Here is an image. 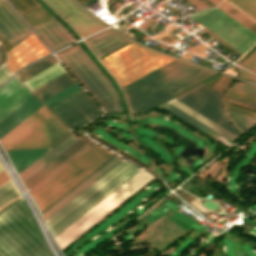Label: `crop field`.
<instances>
[{"label": "crop field", "instance_id": "obj_12", "mask_svg": "<svg viewBox=\"0 0 256 256\" xmlns=\"http://www.w3.org/2000/svg\"><path fill=\"white\" fill-rule=\"evenodd\" d=\"M84 38L102 28L98 22L80 10L71 0H44Z\"/></svg>", "mask_w": 256, "mask_h": 256}, {"label": "crop field", "instance_id": "obj_38", "mask_svg": "<svg viewBox=\"0 0 256 256\" xmlns=\"http://www.w3.org/2000/svg\"><path fill=\"white\" fill-rule=\"evenodd\" d=\"M232 88L256 95V86L245 83V82H235Z\"/></svg>", "mask_w": 256, "mask_h": 256}, {"label": "crop field", "instance_id": "obj_43", "mask_svg": "<svg viewBox=\"0 0 256 256\" xmlns=\"http://www.w3.org/2000/svg\"><path fill=\"white\" fill-rule=\"evenodd\" d=\"M239 71H240V77L241 78H244V79H248V80H252V81H255L256 82V76L238 68Z\"/></svg>", "mask_w": 256, "mask_h": 256}, {"label": "crop field", "instance_id": "obj_23", "mask_svg": "<svg viewBox=\"0 0 256 256\" xmlns=\"http://www.w3.org/2000/svg\"><path fill=\"white\" fill-rule=\"evenodd\" d=\"M73 83L75 82L66 72L32 92L42 101Z\"/></svg>", "mask_w": 256, "mask_h": 256}, {"label": "crop field", "instance_id": "obj_47", "mask_svg": "<svg viewBox=\"0 0 256 256\" xmlns=\"http://www.w3.org/2000/svg\"><path fill=\"white\" fill-rule=\"evenodd\" d=\"M225 97L229 98V99H232V100H235V101H238V102H241V103H244V104H248V105L256 107V104H253V103H249V102H246V101H243V100H240V99H237V98H233V97H230V96H227V95Z\"/></svg>", "mask_w": 256, "mask_h": 256}, {"label": "crop field", "instance_id": "obj_19", "mask_svg": "<svg viewBox=\"0 0 256 256\" xmlns=\"http://www.w3.org/2000/svg\"><path fill=\"white\" fill-rule=\"evenodd\" d=\"M43 104L33 95L0 121V138Z\"/></svg>", "mask_w": 256, "mask_h": 256}, {"label": "crop field", "instance_id": "obj_8", "mask_svg": "<svg viewBox=\"0 0 256 256\" xmlns=\"http://www.w3.org/2000/svg\"><path fill=\"white\" fill-rule=\"evenodd\" d=\"M153 177L154 176L141 170L118 189L112 192L109 196L99 202L96 206L90 209L87 213L77 219L74 223L68 226L65 230L55 236L54 238L60 249L93 225L96 221L102 218L105 214H107L110 210L116 207L119 203L125 200Z\"/></svg>", "mask_w": 256, "mask_h": 256}, {"label": "crop field", "instance_id": "obj_39", "mask_svg": "<svg viewBox=\"0 0 256 256\" xmlns=\"http://www.w3.org/2000/svg\"><path fill=\"white\" fill-rule=\"evenodd\" d=\"M225 105H226V109L228 111L235 112V113H238V114L245 115V116L256 119V113H254V112H251V111H248V110L236 107V106H232V105H229V104H226V103H225Z\"/></svg>", "mask_w": 256, "mask_h": 256}, {"label": "crop field", "instance_id": "obj_11", "mask_svg": "<svg viewBox=\"0 0 256 256\" xmlns=\"http://www.w3.org/2000/svg\"><path fill=\"white\" fill-rule=\"evenodd\" d=\"M49 109L67 128L99 110L82 89Z\"/></svg>", "mask_w": 256, "mask_h": 256}, {"label": "crop field", "instance_id": "obj_50", "mask_svg": "<svg viewBox=\"0 0 256 256\" xmlns=\"http://www.w3.org/2000/svg\"><path fill=\"white\" fill-rule=\"evenodd\" d=\"M3 170L2 166L0 165V171Z\"/></svg>", "mask_w": 256, "mask_h": 256}, {"label": "crop field", "instance_id": "obj_49", "mask_svg": "<svg viewBox=\"0 0 256 256\" xmlns=\"http://www.w3.org/2000/svg\"><path fill=\"white\" fill-rule=\"evenodd\" d=\"M79 1L81 2L82 0H79ZM83 1H85V2L87 3V2H89L90 0H83Z\"/></svg>", "mask_w": 256, "mask_h": 256}, {"label": "crop field", "instance_id": "obj_37", "mask_svg": "<svg viewBox=\"0 0 256 256\" xmlns=\"http://www.w3.org/2000/svg\"><path fill=\"white\" fill-rule=\"evenodd\" d=\"M238 65L255 73L256 72V51L250 57H248Z\"/></svg>", "mask_w": 256, "mask_h": 256}, {"label": "crop field", "instance_id": "obj_10", "mask_svg": "<svg viewBox=\"0 0 256 256\" xmlns=\"http://www.w3.org/2000/svg\"><path fill=\"white\" fill-rule=\"evenodd\" d=\"M175 99L238 136V130L225 117L221 95L200 84Z\"/></svg>", "mask_w": 256, "mask_h": 256}, {"label": "crop field", "instance_id": "obj_25", "mask_svg": "<svg viewBox=\"0 0 256 256\" xmlns=\"http://www.w3.org/2000/svg\"><path fill=\"white\" fill-rule=\"evenodd\" d=\"M173 106L177 107L178 109L182 110L183 112L187 113L188 115L192 116L193 118L197 119L198 121L202 122L203 124L207 125L208 127L212 128L213 130L217 131L218 133L222 134L223 136L227 137L230 140H235L237 137L233 134L229 133L225 129L221 128L220 126L216 125L215 123L211 122L210 120L206 119L202 115L198 114L197 112L193 111L192 109L188 108L184 104L180 103L177 100H172L168 102Z\"/></svg>", "mask_w": 256, "mask_h": 256}, {"label": "crop field", "instance_id": "obj_5", "mask_svg": "<svg viewBox=\"0 0 256 256\" xmlns=\"http://www.w3.org/2000/svg\"><path fill=\"white\" fill-rule=\"evenodd\" d=\"M70 132L43 105L2 139L5 150L52 147Z\"/></svg>", "mask_w": 256, "mask_h": 256}, {"label": "crop field", "instance_id": "obj_22", "mask_svg": "<svg viewBox=\"0 0 256 256\" xmlns=\"http://www.w3.org/2000/svg\"><path fill=\"white\" fill-rule=\"evenodd\" d=\"M48 149L50 148L14 150V151H9L7 153L18 174L24 168H26L29 164H31L34 160H36L43 153H45Z\"/></svg>", "mask_w": 256, "mask_h": 256}, {"label": "crop field", "instance_id": "obj_20", "mask_svg": "<svg viewBox=\"0 0 256 256\" xmlns=\"http://www.w3.org/2000/svg\"><path fill=\"white\" fill-rule=\"evenodd\" d=\"M84 41L97 58L129 42L109 31H102L85 39Z\"/></svg>", "mask_w": 256, "mask_h": 256}, {"label": "crop field", "instance_id": "obj_6", "mask_svg": "<svg viewBox=\"0 0 256 256\" xmlns=\"http://www.w3.org/2000/svg\"><path fill=\"white\" fill-rule=\"evenodd\" d=\"M107 112H121L111 83L78 44L56 54ZM94 98V99H95ZM102 107V108H103Z\"/></svg>", "mask_w": 256, "mask_h": 256}, {"label": "crop field", "instance_id": "obj_3", "mask_svg": "<svg viewBox=\"0 0 256 256\" xmlns=\"http://www.w3.org/2000/svg\"><path fill=\"white\" fill-rule=\"evenodd\" d=\"M139 170L141 169L124 160L96 183L94 182L95 184L80 193L81 195L73 201L71 200L72 202L66 204L67 206L52 215L53 217L48 218L46 223L53 237Z\"/></svg>", "mask_w": 256, "mask_h": 256}, {"label": "crop field", "instance_id": "obj_42", "mask_svg": "<svg viewBox=\"0 0 256 256\" xmlns=\"http://www.w3.org/2000/svg\"><path fill=\"white\" fill-rule=\"evenodd\" d=\"M11 76H12V74L6 69L4 64L1 65L0 66V84H2L4 81H6Z\"/></svg>", "mask_w": 256, "mask_h": 256}, {"label": "crop field", "instance_id": "obj_33", "mask_svg": "<svg viewBox=\"0 0 256 256\" xmlns=\"http://www.w3.org/2000/svg\"><path fill=\"white\" fill-rule=\"evenodd\" d=\"M79 89H81L80 86L75 83L67 87L66 89L60 91L59 93L51 96L50 98L44 100L43 103L49 108Z\"/></svg>", "mask_w": 256, "mask_h": 256}, {"label": "crop field", "instance_id": "obj_2", "mask_svg": "<svg viewBox=\"0 0 256 256\" xmlns=\"http://www.w3.org/2000/svg\"><path fill=\"white\" fill-rule=\"evenodd\" d=\"M0 256H52L22 197L0 210Z\"/></svg>", "mask_w": 256, "mask_h": 256}, {"label": "crop field", "instance_id": "obj_32", "mask_svg": "<svg viewBox=\"0 0 256 256\" xmlns=\"http://www.w3.org/2000/svg\"><path fill=\"white\" fill-rule=\"evenodd\" d=\"M22 17L26 20V22L32 26L40 21H43L49 17H51V15L42 7H38L24 15H22Z\"/></svg>", "mask_w": 256, "mask_h": 256}, {"label": "crop field", "instance_id": "obj_30", "mask_svg": "<svg viewBox=\"0 0 256 256\" xmlns=\"http://www.w3.org/2000/svg\"><path fill=\"white\" fill-rule=\"evenodd\" d=\"M95 143L90 142L85 147H83L80 151H78L75 155H73L71 158H69L66 162H64L62 165H60L57 169H55L52 173H50L48 176H46L43 180H41L38 184H36L34 187L30 189V194L34 192L36 189H38L41 185H43L45 182H47L49 179H51L54 175H56L58 172H60L63 168H65L67 165H69L71 162H73L76 158H78L80 155H82L85 151H87L89 148H91Z\"/></svg>", "mask_w": 256, "mask_h": 256}, {"label": "crop field", "instance_id": "obj_35", "mask_svg": "<svg viewBox=\"0 0 256 256\" xmlns=\"http://www.w3.org/2000/svg\"><path fill=\"white\" fill-rule=\"evenodd\" d=\"M20 15L40 6L35 0H8Z\"/></svg>", "mask_w": 256, "mask_h": 256}, {"label": "crop field", "instance_id": "obj_27", "mask_svg": "<svg viewBox=\"0 0 256 256\" xmlns=\"http://www.w3.org/2000/svg\"><path fill=\"white\" fill-rule=\"evenodd\" d=\"M218 8L223 10L225 13L233 17L235 20H237L256 34V23L247 16H245L243 13L238 11L236 8L228 4L226 1L223 0Z\"/></svg>", "mask_w": 256, "mask_h": 256}, {"label": "crop field", "instance_id": "obj_36", "mask_svg": "<svg viewBox=\"0 0 256 256\" xmlns=\"http://www.w3.org/2000/svg\"><path fill=\"white\" fill-rule=\"evenodd\" d=\"M226 94L230 95V96H234V97L240 98V99H243V100H246V101H250V102L256 103V96L248 94V93H245V92H242V91H238V90L230 88L226 92Z\"/></svg>", "mask_w": 256, "mask_h": 256}, {"label": "crop field", "instance_id": "obj_41", "mask_svg": "<svg viewBox=\"0 0 256 256\" xmlns=\"http://www.w3.org/2000/svg\"><path fill=\"white\" fill-rule=\"evenodd\" d=\"M203 30L205 33H207L208 35H210L212 38H214L216 41H218L219 43H221L223 46H225L226 48H228L230 51H232L233 53H235L237 56H241L242 54H240L238 51H236L235 49H233L231 46H229L228 44H226L225 42H223L221 39H219L218 37H216L214 34H212L211 32H209L207 29L203 28L201 29Z\"/></svg>", "mask_w": 256, "mask_h": 256}, {"label": "crop field", "instance_id": "obj_28", "mask_svg": "<svg viewBox=\"0 0 256 256\" xmlns=\"http://www.w3.org/2000/svg\"><path fill=\"white\" fill-rule=\"evenodd\" d=\"M56 62H58V61L53 56H51L45 60H42V61L28 67L23 73H21L17 76L23 82Z\"/></svg>", "mask_w": 256, "mask_h": 256}, {"label": "crop field", "instance_id": "obj_24", "mask_svg": "<svg viewBox=\"0 0 256 256\" xmlns=\"http://www.w3.org/2000/svg\"><path fill=\"white\" fill-rule=\"evenodd\" d=\"M64 72L60 64L56 63L23 83L32 91Z\"/></svg>", "mask_w": 256, "mask_h": 256}, {"label": "crop field", "instance_id": "obj_46", "mask_svg": "<svg viewBox=\"0 0 256 256\" xmlns=\"http://www.w3.org/2000/svg\"><path fill=\"white\" fill-rule=\"evenodd\" d=\"M3 62H5V52L2 44L0 43V64H2Z\"/></svg>", "mask_w": 256, "mask_h": 256}, {"label": "crop field", "instance_id": "obj_44", "mask_svg": "<svg viewBox=\"0 0 256 256\" xmlns=\"http://www.w3.org/2000/svg\"><path fill=\"white\" fill-rule=\"evenodd\" d=\"M188 2H190L191 4H193L195 7H197L200 10L209 8L206 4H204L202 1L200 0H187Z\"/></svg>", "mask_w": 256, "mask_h": 256}, {"label": "crop field", "instance_id": "obj_26", "mask_svg": "<svg viewBox=\"0 0 256 256\" xmlns=\"http://www.w3.org/2000/svg\"><path fill=\"white\" fill-rule=\"evenodd\" d=\"M159 107L170 112L171 114L175 115L176 117L180 118L181 120L185 121L186 123L190 124L191 126L195 127L196 129L200 130L201 132L212 138L220 135L168 103H165Z\"/></svg>", "mask_w": 256, "mask_h": 256}, {"label": "crop field", "instance_id": "obj_21", "mask_svg": "<svg viewBox=\"0 0 256 256\" xmlns=\"http://www.w3.org/2000/svg\"><path fill=\"white\" fill-rule=\"evenodd\" d=\"M87 138L83 137L74 145H72L69 149H67L64 153L58 156L55 160H53L50 164L44 167L41 171H39L36 175L30 178L27 182L24 183L26 189L31 188L38 181L44 178L47 174H49L52 170H54L57 166H59L62 162H64L67 158H69L72 154H74L77 150H79L82 146H84L87 142H89Z\"/></svg>", "mask_w": 256, "mask_h": 256}, {"label": "crop field", "instance_id": "obj_15", "mask_svg": "<svg viewBox=\"0 0 256 256\" xmlns=\"http://www.w3.org/2000/svg\"><path fill=\"white\" fill-rule=\"evenodd\" d=\"M123 160L124 159L116 155L106 164L100 167L97 171H95L92 175L86 178L83 182L77 185L74 189L68 192L65 196H63L60 200H58L56 203H54L51 207H49L42 213L45 221Z\"/></svg>", "mask_w": 256, "mask_h": 256}, {"label": "crop field", "instance_id": "obj_29", "mask_svg": "<svg viewBox=\"0 0 256 256\" xmlns=\"http://www.w3.org/2000/svg\"><path fill=\"white\" fill-rule=\"evenodd\" d=\"M256 22V0H226Z\"/></svg>", "mask_w": 256, "mask_h": 256}, {"label": "crop field", "instance_id": "obj_34", "mask_svg": "<svg viewBox=\"0 0 256 256\" xmlns=\"http://www.w3.org/2000/svg\"><path fill=\"white\" fill-rule=\"evenodd\" d=\"M227 115L240 128L243 133L256 123L255 119H251L228 111Z\"/></svg>", "mask_w": 256, "mask_h": 256}, {"label": "crop field", "instance_id": "obj_48", "mask_svg": "<svg viewBox=\"0 0 256 256\" xmlns=\"http://www.w3.org/2000/svg\"><path fill=\"white\" fill-rule=\"evenodd\" d=\"M209 1L217 6L221 0H209Z\"/></svg>", "mask_w": 256, "mask_h": 256}, {"label": "crop field", "instance_id": "obj_13", "mask_svg": "<svg viewBox=\"0 0 256 256\" xmlns=\"http://www.w3.org/2000/svg\"><path fill=\"white\" fill-rule=\"evenodd\" d=\"M47 50L33 34L10 51L8 50L7 68L15 73L25 64L49 54Z\"/></svg>", "mask_w": 256, "mask_h": 256}, {"label": "crop field", "instance_id": "obj_7", "mask_svg": "<svg viewBox=\"0 0 256 256\" xmlns=\"http://www.w3.org/2000/svg\"><path fill=\"white\" fill-rule=\"evenodd\" d=\"M173 60L132 44L101 59L121 87Z\"/></svg>", "mask_w": 256, "mask_h": 256}, {"label": "crop field", "instance_id": "obj_1", "mask_svg": "<svg viewBox=\"0 0 256 256\" xmlns=\"http://www.w3.org/2000/svg\"><path fill=\"white\" fill-rule=\"evenodd\" d=\"M216 73L173 61L122 87L130 113L145 111Z\"/></svg>", "mask_w": 256, "mask_h": 256}, {"label": "crop field", "instance_id": "obj_4", "mask_svg": "<svg viewBox=\"0 0 256 256\" xmlns=\"http://www.w3.org/2000/svg\"><path fill=\"white\" fill-rule=\"evenodd\" d=\"M114 155L96 144L32 193L41 212Z\"/></svg>", "mask_w": 256, "mask_h": 256}, {"label": "crop field", "instance_id": "obj_9", "mask_svg": "<svg viewBox=\"0 0 256 256\" xmlns=\"http://www.w3.org/2000/svg\"><path fill=\"white\" fill-rule=\"evenodd\" d=\"M189 17L242 54L256 42L253 32L218 8L197 12Z\"/></svg>", "mask_w": 256, "mask_h": 256}, {"label": "crop field", "instance_id": "obj_16", "mask_svg": "<svg viewBox=\"0 0 256 256\" xmlns=\"http://www.w3.org/2000/svg\"><path fill=\"white\" fill-rule=\"evenodd\" d=\"M32 28L53 51L76 41L67 29L54 17L41 22Z\"/></svg>", "mask_w": 256, "mask_h": 256}, {"label": "crop field", "instance_id": "obj_18", "mask_svg": "<svg viewBox=\"0 0 256 256\" xmlns=\"http://www.w3.org/2000/svg\"><path fill=\"white\" fill-rule=\"evenodd\" d=\"M79 139L80 138L71 133L55 146H53L50 150H48L45 154H43L40 158H38L35 162H33L18 174L23 183Z\"/></svg>", "mask_w": 256, "mask_h": 256}, {"label": "crop field", "instance_id": "obj_14", "mask_svg": "<svg viewBox=\"0 0 256 256\" xmlns=\"http://www.w3.org/2000/svg\"><path fill=\"white\" fill-rule=\"evenodd\" d=\"M32 32L4 1L0 0V37L12 47L30 36Z\"/></svg>", "mask_w": 256, "mask_h": 256}, {"label": "crop field", "instance_id": "obj_40", "mask_svg": "<svg viewBox=\"0 0 256 256\" xmlns=\"http://www.w3.org/2000/svg\"><path fill=\"white\" fill-rule=\"evenodd\" d=\"M101 114V110L95 112L94 114L90 115L89 117L85 118L84 120L78 122L77 124L73 125L72 127L68 128L70 131L76 129L77 127L85 126L99 117Z\"/></svg>", "mask_w": 256, "mask_h": 256}, {"label": "crop field", "instance_id": "obj_17", "mask_svg": "<svg viewBox=\"0 0 256 256\" xmlns=\"http://www.w3.org/2000/svg\"><path fill=\"white\" fill-rule=\"evenodd\" d=\"M32 95L15 77L0 89V119Z\"/></svg>", "mask_w": 256, "mask_h": 256}, {"label": "crop field", "instance_id": "obj_45", "mask_svg": "<svg viewBox=\"0 0 256 256\" xmlns=\"http://www.w3.org/2000/svg\"><path fill=\"white\" fill-rule=\"evenodd\" d=\"M9 176L6 173L5 169L0 173V186L4 184L7 180H9Z\"/></svg>", "mask_w": 256, "mask_h": 256}, {"label": "crop field", "instance_id": "obj_31", "mask_svg": "<svg viewBox=\"0 0 256 256\" xmlns=\"http://www.w3.org/2000/svg\"><path fill=\"white\" fill-rule=\"evenodd\" d=\"M18 195L19 194L10 179L0 187V207L18 197Z\"/></svg>", "mask_w": 256, "mask_h": 256}]
</instances>
